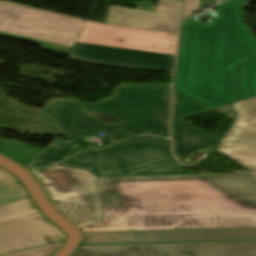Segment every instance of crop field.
<instances>
[{
	"label": "crop field",
	"mask_w": 256,
	"mask_h": 256,
	"mask_svg": "<svg viewBox=\"0 0 256 256\" xmlns=\"http://www.w3.org/2000/svg\"><path fill=\"white\" fill-rule=\"evenodd\" d=\"M102 217L254 213L250 173L98 178Z\"/></svg>",
	"instance_id": "crop-field-1"
},
{
	"label": "crop field",
	"mask_w": 256,
	"mask_h": 256,
	"mask_svg": "<svg viewBox=\"0 0 256 256\" xmlns=\"http://www.w3.org/2000/svg\"><path fill=\"white\" fill-rule=\"evenodd\" d=\"M216 7L210 23H182L174 89L214 109L238 98L235 66L256 55L254 30L245 26L241 3Z\"/></svg>",
	"instance_id": "crop-field-2"
},
{
	"label": "crop field",
	"mask_w": 256,
	"mask_h": 256,
	"mask_svg": "<svg viewBox=\"0 0 256 256\" xmlns=\"http://www.w3.org/2000/svg\"><path fill=\"white\" fill-rule=\"evenodd\" d=\"M61 163L95 176L180 174L169 140L147 136L87 150Z\"/></svg>",
	"instance_id": "crop-field-3"
},
{
	"label": "crop field",
	"mask_w": 256,
	"mask_h": 256,
	"mask_svg": "<svg viewBox=\"0 0 256 256\" xmlns=\"http://www.w3.org/2000/svg\"><path fill=\"white\" fill-rule=\"evenodd\" d=\"M169 88L163 85L121 84L111 97L97 103L77 102L143 134L168 137Z\"/></svg>",
	"instance_id": "crop-field-4"
},
{
	"label": "crop field",
	"mask_w": 256,
	"mask_h": 256,
	"mask_svg": "<svg viewBox=\"0 0 256 256\" xmlns=\"http://www.w3.org/2000/svg\"><path fill=\"white\" fill-rule=\"evenodd\" d=\"M42 112L54 120L59 133L70 141L55 139L26 166L27 168L35 165L44 168L78 151L92 148L93 146L82 137L99 131L113 142L138 134L119 123L108 126L94 117L103 115L73 100H48Z\"/></svg>",
	"instance_id": "crop-field-5"
},
{
	"label": "crop field",
	"mask_w": 256,
	"mask_h": 256,
	"mask_svg": "<svg viewBox=\"0 0 256 256\" xmlns=\"http://www.w3.org/2000/svg\"><path fill=\"white\" fill-rule=\"evenodd\" d=\"M84 21L0 2V36L69 55Z\"/></svg>",
	"instance_id": "crop-field-6"
},
{
	"label": "crop field",
	"mask_w": 256,
	"mask_h": 256,
	"mask_svg": "<svg viewBox=\"0 0 256 256\" xmlns=\"http://www.w3.org/2000/svg\"><path fill=\"white\" fill-rule=\"evenodd\" d=\"M34 175L53 205L76 225L84 226L101 219L95 176L61 163Z\"/></svg>",
	"instance_id": "crop-field-7"
},
{
	"label": "crop field",
	"mask_w": 256,
	"mask_h": 256,
	"mask_svg": "<svg viewBox=\"0 0 256 256\" xmlns=\"http://www.w3.org/2000/svg\"><path fill=\"white\" fill-rule=\"evenodd\" d=\"M28 199L0 206V254L64 240Z\"/></svg>",
	"instance_id": "crop-field-8"
},
{
	"label": "crop field",
	"mask_w": 256,
	"mask_h": 256,
	"mask_svg": "<svg viewBox=\"0 0 256 256\" xmlns=\"http://www.w3.org/2000/svg\"><path fill=\"white\" fill-rule=\"evenodd\" d=\"M72 256H256V241L80 246Z\"/></svg>",
	"instance_id": "crop-field-9"
},
{
	"label": "crop field",
	"mask_w": 256,
	"mask_h": 256,
	"mask_svg": "<svg viewBox=\"0 0 256 256\" xmlns=\"http://www.w3.org/2000/svg\"><path fill=\"white\" fill-rule=\"evenodd\" d=\"M218 227H256V213L103 218V221L84 227L82 230L103 231Z\"/></svg>",
	"instance_id": "crop-field-10"
},
{
	"label": "crop field",
	"mask_w": 256,
	"mask_h": 256,
	"mask_svg": "<svg viewBox=\"0 0 256 256\" xmlns=\"http://www.w3.org/2000/svg\"><path fill=\"white\" fill-rule=\"evenodd\" d=\"M256 239V228L84 232L82 243H137Z\"/></svg>",
	"instance_id": "crop-field-11"
},
{
	"label": "crop field",
	"mask_w": 256,
	"mask_h": 256,
	"mask_svg": "<svg viewBox=\"0 0 256 256\" xmlns=\"http://www.w3.org/2000/svg\"><path fill=\"white\" fill-rule=\"evenodd\" d=\"M69 59L97 65L172 73L174 56L76 42Z\"/></svg>",
	"instance_id": "crop-field-12"
},
{
	"label": "crop field",
	"mask_w": 256,
	"mask_h": 256,
	"mask_svg": "<svg viewBox=\"0 0 256 256\" xmlns=\"http://www.w3.org/2000/svg\"><path fill=\"white\" fill-rule=\"evenodd\" d=\"M177 36L166 33L101 26L87 22L79 42L174 55Z\"/></svg>",
	"instance_id": "crop-field-13"
},
{
	"label": "crop field",
	"mask_w": 256,
	"mask_h": 256,
	"mask_svg": "<svg viewBox=\"0 0 256 256\" xmlns=\"http://www.w3.org/2000/svg\"><path fill=\"white\" fill-rule=\"evenodd\" d=\"M237 117L217 151L256 172V97L232 105Z\"/></svg>",
	"instance_id": "crop-field-14"
},
{
	"label": "crop field",
	"mask_w": 256,
	"mask_h": 256,
	"mask_svg": "<svg viewBox=\"0 0 256 256\" xmlns=\"http://www.w3.org/2000/svg\"><path fill=\"white\" fill-rule=\"evenodd\" d=\"M181 7L177 0H158L155 12L110 7L106 24L176 33Z\"/></svg>",
	"instance_id": "crop-field-15"
},
{
	"label": "crop field",
	"mask_w": 256,
	"mask_h": 256,
	"mask_svg": "<svg viewBox=\"0 0 256 256\" xmlns=\"http://www.w3.org/2000/svg\"><path fill=\"white\" fill-rule=\"evenodd\" d=\"M172 129L176 156L184 155L215 138L182 120L172 122Z\"/></svg>",
	"instance_id": "crop-field-16"
},
{
	"label": "crop field",
	"mask_w": 256,
	"mask_h": 256,
	"mask_svg": "<svg viewBox=\"0 0 256 256\" xmlns=\"http://www.w3.org/2000/svg\"><path fill=\"white\" fill-rule=\"evenodd\" d=\"M42 150L32 148L23 143L0 138V153L16 160L24 166L30 163Z\"/></svg>",
	"instance_id": "crop-field-17"
},
{
	"label": "crop field",
	"mask_w": 256,
	"mask_h": 256,
	"mask_svg": "<svg viewBox=\"0 0 256 256\" xmlns=\"http://www.w3.org/2000/svg\"><path fill=\"white\" fill-rule=\"evenodd\" d=\"M237 68L240 72V100L256 96V57Z\"/></svg>",
	"instance_id": "crop-field-18"
},
{
	"label": "crop field",
	"mask_w": 256,
	"mask_h": 256,
	"mask_svg": "<svg viewBox=\"0 0 256 256\" xmlns=\"http://www.w3.org/2000/svg\"><path fill=\"white\" fill-rule=\"evenodd\" d=\"M175 95L176 101L173 121L212 110L194 100L183 96L177 91H175Z\"/></svg>",
	"instance_id": "crop-field-19"
},
{
	"label": "crop field",
	"mask_w": 256,
	"mask_h": 256,
	"mask_svg": "<svg viewBox=\"0 0 256 256\" xmlns=\"http://www.w3.org/2000/svg\"><path fill=\"white\" fill-rule=\"evenodd\" d=\"M63 243L64 242L56 243L52 245L13 252V253L4 254L0 256H52Z\"/></svg>",
	"instance_id": "crop-field-20"
},
{
	"label": "crop field",
	"mask_w": 256,
	"mask_h": 256,
	"mask_svg": "<svg viewBox=\"0 0 256 256\" xmlns=\"http://www.w3.org/2000/svg\"><path fill=\"white\" fill-rule=\"evenodd\" d=\"M27 196L19 183L0 189V205Z\"/></svg>",
	"instance_id": "crop-field-21"
},
{
	"label": "crop field",
	"mask_w": 256,
	"mask_h": 256,
	"mask_svg": "<svg viewBox=\"0 0 256 256\" xmlns=\"http://www.w3.org/2000/svg\"><path fill=\"white\" fill-rule=\"evenodd\" d=\"M202 5H199V0H185L184 16H189L192 11L200 9Z\"/></svg>",
	"instance_id": "crop-field-22"
},
{
	"label": "crop field",
	"mask_w": 256,
	"mask_h": 256,
	"mask_svg": "<svg viewBox=\"0 0 256 256\" xmlns=\"http://www.w3.org/2000/svg\"><path fill=\"white\" fill-rule=\"evenodd\" d=\"M14 183H17L16 179L0 169V188Z\"/></svg>",
	"instance_id": "crop-field-23"
},
{
	"label": "crop field",
	"mask_w": 256,
	"mask_h": 256,
	"mask_svg": "<svg viewBox=\"0 0 256 256\" xmlns=\"http://www.w3.org/2000/svg\"><path fill=\"white\" fill-rule=\"evenodd\" d=\"M217 0H200V4L204 3L203 5H210V4H216Z\"/></svg>",
	"instance_id": "crop-field-24"
},
{
	"label": "crop field",
	"mask_w": 256,
	"mask_h": 256,
	"mask_svg": "<svg viewBox=\"0 0 256 256\" xmlns=\"http://www.w3.org/2000/svg\"><path fill=\"white\" fill-rule=\"evenodd\" d=\"M220 1H222V0H220Z\"/></svg>",
	"instance_id": "crop-field-25"
}]
</instances>
